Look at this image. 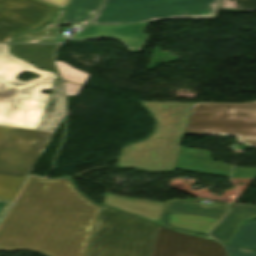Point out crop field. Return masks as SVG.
I'll list each match as a JSON object with an SVG mask.
<instances>
[{
    "label": "crop field",
    "instance_id": "obj_1",
    "mask_svg": "<svg viewBox=\"0 0 256 256\" xmlns=\"http://www.w3.org/2000/svg\"><path fill=\"white\" fill-rule=\"evenodd\" d=\"M101 207L68 178L29 177L0 224V249L85 256Z\"/></svg>",
    "mask_w": 256,
    "mask_h": 256
},
{
    "label": "crop field",
    "instance_id": "obj_2",
    "mask_svg": "<svg viewBox=\"0 0 256 256\" xmlns=\"http://www.w3.org/2000/svg\"><path fill=\"white\" fill-rule=\"evenodd\" d=\"M37 130L0 125V199L13 200L64 117L60 80H55Z\"/></svg>",
    "mask_w": 256,
    "mask_h": 256
},
{
    "label": "crop field",
    "instance_id": "obj_3",
    "mask_svg": "<svg viewBox=\"0 0 256 256\" xmlns=\"http://www.w3.org/2000/svg\"><path fill=\"white\" fill-rule=\"evenodd\" d=\"M155 122L150 137L124 146L117 167H137L148 171L174 170L192 103L140 101Z\"/></svg>",
    "mask_w": 256,
    "mask_h": 256
},
{
    "label": "crop field",
    "instance_id": "obj_4",
    "mask_svg": "<svg viewBox=\"0 0 256 256\" xmlns=\"http://www.w3.org/2000/svg\"><path fill=\"white\" fill-rule=\"evenodd\" d=\"M24 71L40 77L27 82L17 80ZM56 76L53 72L36 69L31 64L14 58L8 44H0V124L36 129Z\"/></svg>",
    "mask_w": 256,
    "mask_h": 256
},
{
    "label": "crop field",
    "instance_id": "obj_5",
    "mask_svg": "<svg viewBox=\"0 0 256 256\" xmlns=\"http://www.w3.org/2000/svg\"><path fill=\"white\" fill-rule=\"evenodd\" d=\"M156 225L103 206L86 256H149Z\"/></svg>",
    "mask_w": 256,
    "mask_h": 256
},
{
    "label": "crop field",
    "instance_id": "obj_6",
    "mask_svg": "<svg viewBox=\"0 0 256 256\" xmlns=\"http://www.w3.org/2000/svg\"><path fill=\"white\" fill-rule=\"evenodd\" d=\"M220 0H104L89 25L215 17Z\"/></svg>",
    "mask_w": 256,
    "mask_h": 256
},
{
    "label": "crop field",
    "instance_id": "obj_7",
    "mask_svg": "<svg viewBox=\"0 0 256 256\" xmlns=\"http://www.w3.org/2000/svg\"><path fill=\"white\" fill-rule=\"evenodd\" d=\"M184 135H237L256 147V102L193 103Z\"/></svg>",
    "mask_w": 256,
    "mask_h": 256
},
{
    "label": "crop field",
    "instance_id": "obj_8",
    "mask_svg": "<svg viewBox=\"0 0 256 256\" xmlns=\"http://www.w3.org/2000/svg\"><path fill=\"white\" fill-rule=\"evenodd\" d=\"M59 8L39 0H0V42L14 33L44 25Z\"/></svg>",
    "mask_w": 256,
    "mask_h": 256
},
{
    "label": "crop field",
    "instance_id": "obj_9",
    "mask_svg": "<svg viewBox=\"0 0 256 256\" xmlns=\"http://www.w3.org/2000/svg\"><path fill=\"white\" fill-rule=\"evenodd\" d=\"M150 256H227L222 245L157 225Z\"/></svg>",
    "mask_w": 256,
    "mask_h": 256
},
{
    "label": "crop field",
    "instance_id": "obj_10",
    "mask_svg": "<svg viewBox=\"0 0 256 256\" xmlns=\"http://www.w3.org/2000/svg\"><path fill=\"white\" fill-rule=\"evenodd\" d=\"M147 23L87 26L72 38L114 37L124 41L128 47L144 46L148 35L141 32Z\"/></svg>",
    "mask_w": 256,
    "mask_h": 256
},
{
    "label": "crop field",
    "instance_id": "obj_11",
    "mask_svg": "<svg viewBox=\"0 0 256 256\" xmlns=\"http://www.w3.org/2000/svg\"><path fill=\"white\" fill-rule=\"evenodd\" d=\"M211 163L213 165H210ZM230 168L231 166L213 162L210 152L181 147L175 169L229 177Z\"/></svg>",
    "mask_w": 256,
    "mask_h": 256
},
{
    "label": "crop field",
    "instance_id": "obj_12",
    "mask_svg": "<svg viewBox=\"0 0 256 256\" xmlns=\"http://www.w3.org/2000/svg\"><path fill=\"white\" fill-rule=\"evenodd\" d=\"M217 221L216 219L163 211L160 224L170 229L212 239L207 233Z\"/></svg>",
    "mask_w": 256,
    "mask_h": 256
},
{
    "label": "crop field",
    "instance_id": "obj_13",
    "mask_svg": "<svg viewBox=\"0 0 256 256\" xmlns=\"http://www.w3.org/2000/svg\"><path fill=\"white\" fill-rule=\"evenodd\" d=\"M103 204L159 222L165 203L130 199L106 193Z\"/></svg>",
    "mask_w": 256,
    "mask_h": 256
},
{
    "label": "crop field",
    "instance_id": "obj_14",
    "mask_svg": "<svg viewBox=\"0 0 256 256\" xmlns=\"http://www.w3.org/2000/svg\"><path fill=\"white\" fill-rule=\"evenodd\" d=\"M256 216L255 206H239L234 207L228 214L217 224V226L209 233L211 237L228 243L239 224L246 219Z\"/></svg>",
    "mask_w": 256,
    "mask_h": 256
},
{
    "label": "crop field",
    "instance_id": "obj_15",
    "mask_svg": "<svg viewBox=\"0 0 256 256\" xmlns=\"http://www.w3.org/2000/svg\"><path fill=\"white\" fill-rule=\"evenodd\" d=\"M57 45L49 44H11V52L39 68L55 70L52 64L53 52Z\"/></svg>",
    "mask_w": 256,
    "mask_h": 256
},
{
    "label": "crop field",
    "instance_id": "obj_16",
    "mask_svg": "<svg viewBox=\"0 0 256 256\" xmlns=\"http://www.w3.org/2000/svg\"><path fill=\"white\" fill-rule=\"evenodd\" d=\"M65 13L66 9L59 11L46 27L18 34L13 42L59 43L64 41L67 37L61 36L58 28Z\"/></svg>",
    "mask_w": 256,
    "mask_h": 256
},
{
    "label": "crop field",
    "instance_id": "obj_17",
    "mask_svg": "<svg viewBox=\"0 0 256 256\" xmlns=\"http://www.w3.org/2000/svg\"><path fill=\"white\" fill-rule=\"evenodd\" d=\"M199 200L200 199H194L192 201H184L179 199H175L174 201L167 200L163 210L216 219L222 218L228 211L226 205H216L210 208L200 205L198 203Z\"/></svg>",
    "mask_w": 256,
    "mask_h": 256
},
{
    "label": "crop field",
    "instance_id": "obj_18",
    "mask_svg": "<svg viewBox=\"0 0 256 256\" xmlns=\"http://www.w3.org/2000/svg\"><path fill=\"white\" fill-rule=\"evenodd\" d=\"M102 0H72L61 25H86Z\"/></svg>",
    "mask_w": 256,
    "mask_h": 256
},
{
    "label": "crop field",
    "instance_id": "obj_19",
    "mask_svg": "<svg viewBox=\"0 0 256 256\" xmlns=\"http://www.w3.org/2000/svg\"><path fill=\"white\" fill-rule=\"evenodd\" d=\"M230 243L256 249V220L244 223Z\"/></svg>",
    "mask_w": 256,
    "mask_h": 256
},
{
    "label": "crop field",
    "instance_id": "obj_20",
    "mask_svg": "<svg viewBox=\"0 0 256 256\" xmlns=\"http://www.w3.org/2000/svg\"><path fill=\"white\" fill-rule=\"evenodd\" d=\"M218 10L231 12L256 10V0H221Z\"/></svg>",
    "mask_w": 256,
    "mask_h": 256
},
{
    "label": "crop field",
    "instance_id": "obj_21",
    "mask_svg": "<svg viewBox=\"0 0 256 256\" xmlns=\"http://www.w3.org/2000/svg\"><path fill=\"white\" fill-rule=\"evenodd\" d=\"M55 63L60 71L62 79L83 84L88 76V74L84 72L71 68L66 63H62V62H55Z\"/></svg>",
    "mask_w": 256,
    "mask_h": 256
},
{
    "label": "crop field",
    "instance_id": "obj_22",
    "mask_svg": "<svg viewBox=\"0 0 256 256\" xmlns=\"http://www.w3.org/2000/svg\"><path fill=\"white\" fill-rule=\"evenodd\" d=\"M232 177L236 178H256V169L234 167Z\"/></svg>",
    "mask_w": 256,
    "mask_h": 256
},
{
    "label": "crop field",
    "instance_id": "obj_23",
    "mask_svg": "<svg viewBox=\"0 0 256 256\" xmlns=\"http://www.w3.org/2000/svg\"><path fill=\"white\" fill-rule=\"evenodd\" d=\"M229 256H256L253 251L244 250L240 247L224 245Z\"/></svg>",
    "mask_w": 256,
    "mask_h": 256
},
{
    "label": "crop field",
    "instance_id": "obj_24",
    "mask_svg": "<svg viewBox=\"0 0 256 256\" xmlns=\"http://www.w3.org/2000/svg\"><path fill=\"white\" fill-rule=\"evenodd\" d=\"M65 84V91H66V95H77L81 86L79 85H75V84H70V83H66Z\"/></svg>",
    "mask_w": 256,
    "mask_h": 256
},
{
    "label": "crop field",
    "instance_id": "obj_25",
    "mask_svg": "<svg viewBox=\"0 0 256 256\" xmlns=\"http://www.w3.org/2000/svg\"><path fill=\"white\" fill-rule=\"evenodd\" d=\"M46 3L52 4L54 6H57L61 9H63L65 6H67L69 0H41Z\"/></svg>",
    "mask_w": 256,
    "mask_h": 256
},
{
    "label": "crop field",
    "instance_id": "obj_26",
    "mask_svg": "<svg viewBox=\"0 0 256 256\" xmlns=\"http://www.w3.org/2000/svg\"><path fill=\"white\" fill-rule=\"evenodd\" d=\"M10 203L11 201L8 200H0V219L2 218Z\"/></svg>",
    "mask_w": 256,
    "mask_h": 256
}]
</instances>
